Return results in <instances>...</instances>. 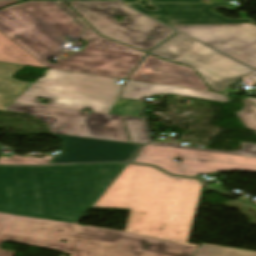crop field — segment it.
I'll return each instance as SVG.
<instances>
[{
  "label": "crop field",
  "mask_w": 256,
  "mask_h": 256,
  "mask_svg": "<svg viewBox=\"0 0 256 256\" xmlns=\"http://www.w3.org/2000/svg\"><path fill=\"white\" fill-rule=\"evenodd\" d=\"M155 94H174L227 102L222 94L127 80L121 96L140 99Z\"/></svg>",
  "instance_id": "crop-field-15"
},
{
  "label": "crop field",
  "mask_w": 256,
  "mask_h": 256,
  "mask_svg": "<svg viewBox=\"0 0 256 256\" xmlns=\"http://www.w3.org/2000/svg\"><path fill=\"white\" fill-rule=\"evenodd\" d=\"M101 35L148 52L175 31L118 2H67ZM126 14L122 22L113 16Z\"/></svg>",
  "instance_id": "crop-field-6"
},
{
  "label": "crop field",
  "mask_w": 256,
  "mask_h": 256,
  "mask_svg": "<svg viewBox=\"0 0 256 256\" xmlns=\"http://www.w3.org/2000/svg\"><path fill=\"white\" fill-rule=\"evenodd\" d=\"M63 141L60 155L50 164L128 161L140 145L53 134Z\"/></svg>",
  "instance_id": "crop-field-11"
},
{
  "label": "crop field",
  "mask_w": 256,
  "mask_h": 256,
  "mask_svg": "<svg viewBox=\"0 0 256 256\" xmlns=\"http://www.w3.org/2000/svg\"><path fill=\"white\" fill-rule=\"evenodd\" d=\"M151 145H159V146H167V147H175V148H184V149H192V150H201V151L256 157V144H250V143H242L241 149L236 152L195 148V147H185V146H180L178 144H172V143H162V144L152 143Z\"/></svg>",
  "instance_id": "crop-field-22"
},
{
  "label": "crop field",
  "mask_w": 256,
  "mask_h": 256,
  "mask_svg": "<svg viewBox=\"0 0 256 256\" xmlns=\"http://www.w3.org/2000/svg\"><path fill=\"white\" fill-rule=\"evenodd\" d=\"M194 256H256V252L201 243Z\"/></svg>",
  "instance_id": "crop-field-19"
},
{
  "label": "crop field",
  "mask_w": 256,
  "mask_h": 256,
  "mask_svg": "<svg viewBox=\"0 0 256 256\" xmlns=\"http://www.w3.org/2000/svg\"><path fill=\"white\" fill-rule=\"evenodd\" d=\"M51 158L50 156H46L43 159L20 156H12L11 158L0 157V164H46Z\"/></svg>",
  "instance_id": "crop-field-24"
},
{
  "label": "crop field",
  "mask_w": 256,
  "mask_h": 256,
  "mask_svg": "<svg viewBox=\"0 0 256 256\" xmlns=\"http://www.w3.org/2000/svg\"><path fill=\"white\" fill-rule=\"evenodd\" d=\"M6 111L29 113L45 121L51 133L129 142L122 117L118 115L95 112L84 115L77 110L16 103Z\"/></svg>",
  "instance_id": "crop-field-8"
},
{
  "label": "crop field",
  "mask_w": 256,
  "mask_h": 256,
  "mask_svg": "<svg viewBox=\"0 0 256 256\" xmlns=\"http://www.w3.org/2000/svg\"><path fill=\"white\" fill-rule=\"evenodd\" d=\"M151 54L195 67L213 91L217 92L223 91L236 80L254 72L182 34H177L153 50Z\"/></svg>",
  "instance_id": "crop-field-7"
},
{
  "label": "crop field",
  "mask_w": 256,
  "mask_h": 256,
  "mask_svg": "<svg viewBox=\"0 0 256 256\" xmlns=\"http://www.w3.org/2000/svg\"><path fill=\"white\" fill-rule=\"evenodd\" d=\"M123 2H141L140 0H122ZM201 0H148V2H176V3H196Z\"/></svg>",
  "instance_id": "crop-field-25"
},
{
  "label": "crop field",
  "mask_w": 256,
  "mask_h": 256,
  "mask_svg": "<svg viewBox=\"0 0 256 256\" xmlns=\"http://www.w3.org/2000/svg\"><path fill=\"white\" fill-rule=\"evenodd\" d=\"M0 61L46 68L1 32Z\"/></svg>",
  "instance_id": "crop-field-18"
},
{
  "label": "crop field",
  "mask_w": 256,
  "mask_h": 256,
  "mask_svg": "<svg viewBox=\"0 0 256 256\" xmlns=\"http://www.w3.org/2000/svg\"><path fill=\"white\" fill-rule=\"evenodd\" d=\"M182 158L181 163L173 162ZM134 162L156 165L172 174L199 177L200 173L242 170L256 172V158L146 145Z\"/></svg>",
  "instance_id": "crop-field-9"
},
{
  "label": "crop field",
  "mask_w": 256,
  "mask_h": 256,
  "mask_svg": "<svg viewBox=\"0 0 256 256\" xmlns=\"http://www.w3.org/2000/svg\"><path fill=\"white\" fill-rule=\"evenodd\" d=\"M20 1L0 0V8ZM0 31L48 68L66 35L77 37L81 27L54 1H31L1 9Z\"/></svg>",
  "instance_id": "crop-field-4"
},
{
  "label": "crop field",
  "mask_w": 256,
  "mask_h": 256,
  "mask_svg": "<svg viewBox=\"0 0 256 256\" xmlns=\"http://www.w3.org/2000/svg\"><path fill=\"white\" fill-rule=\"evenodd\" d=\"M59 4L67 11L69 12L78 22L83 24L85 26V31L81 36V39L85 40L87 43L85 45V48H91V49H98V50H105V51H112V52H119V53H126V54H133V55H140L144 56L145 53L107 40L105 38H102L98 36L90 27H88L72 10H70L63 2H59Z\"/></svg>",
  "instance_id": "crop-field-17"
},
{
  "label": "crop field",
  "mask_w": 256,
  "mask_h": 256,
  "mask_svg": "<svg viewBox=\"0 0 256 256\" xmlns=\"http://www.w3.org/2000/svg\"><path fill=\"white\" fill-rule=\"evenodd\" d=\"M126 127L133 143H146L149 142L148 133L142 118L123 116Z\"/></svg>",
  "instance_id": "crop-field-20"
},
{
  "label": "crop field",
  "mask_w": 256,
  "mask_h": 256,
  "mask_svg": "<svg viewBox=\"0 0 256 256\" xmlns=\"http://www.w3.org/2000/svg\"><path fill=\"white\" fill-rule=\"evenodd\" d=\"M173 28L256 69L254 25H182Z\"/></svg>",
  "instance_id": "crop-field-10"
},
{
  "label": "crop field",
  "mask_w": 256,
  "mask_h": 256,
  "mask_svg": "<svg viewBox=\"0 0 256 256\" xmlns=\"http://www.w3.org/2000/svg\"><path fill=\"white\" fill-rule=\"evenodd\" d=\"M244 103V111H241L237 114L244 122L245 127L256 131V106L246 100Z\"/></svg>",
  "instance_id": "crop-field-23"
},
{
  "label": "crop field",
  "mask_w": 256,
  "mask_h": 256,
  "mask_svg": "<svg viewBox=\"0 0 256 256\" xmlns=\"http://www.w3.org/2000/svg\"><path fill=\"white\" fill-rule=\"evenodd\" d=\"M198 180L128 164L93 207L131 209L125 231L187 243L201 192Z\"/></svg>",
  "instance_id": "crop-field-2"
},
{
  "label": "crop field",
  "mask_w": 256,
  "mask_h": 256,
  "mask_svg": "<svg viewBox=\"0 0 256 256\" xmlns=\"http://www.w3.org/2000/svg\"><path fill=\"white\" fill-rule=\"evenodd\" d=\"M143 102L117 99L109 113L140 117Z\"/></svg>",
  "instance_id": "crop-field-21"
},
{
  "label": "crop field",
  "mask_w": 256,
  "mask_h": 256,
  "mask_svg": "<svg viewBox=\"0 0 256 256\" xmlns=\"http://www.w3.org/2000/svg\"><path fill=\"white\" fill-rule=\"evenodd\" d=\"M23 67V65L0 62V111L11 105L31 85L10 78Z\"/></svg>",
  "instance_id": "crop-field-16"
},
{
  "label": "crop field",
  "mask_w": 256,
  "mask_h": 256,
  "mask_svg": "<svg viewBox=\"0 0 256 256\" xmlns=\"http://www.w3.org/2000/svg\"><path fill=\"white\" fill-rule=\"evenodd\" d=\"M248 78H250V79L256 81V74H254V75H252V76H250V77H248ZM246 99H248V100H250L251 102H253V103L256 104V98L248 97V98H246Z\"/></svg>",
  "instance_id": "crop-field-26"
},
{
  "label": "crop field",
  "mask_w": 256,
  "mask_h": 256,
  "mask_svg": "<svg viewBox=\"0 0 256 256\" xmlns=\"http://www.w3.org/2000/svg\"><path fill=\"white\" fill-rule=\"evenodd\" d=\"M118 80L48 69L14 102L108 113L122 86L115 84ZM38 97L50 104L40 103Z\"/></svg>",
  "instance_id": "crop-field-5"
},
{
  "label": "crop field",
  "mask_w": 256,
  "mask_h": 256,
  "mask_svg": "<svg viewBox=\"0 0 256 256\" xmlns=\"http://www.w3.org/2000/svg\"><path fill=\"white\" fill-rule=\"evenodd\" d=\"M6 240L72 256H193L198 249L127 232L0 213V245ZM14 254L0 249V256Z\"/></svg>",
  "instance_id": "crop-field-3"
},
{
  "label": "crop field",
  "mask_w": 256,
  "mask_h": 256,
  "mask_svg": "<svg viewBox=\"0 0 256 256\" xmlns=\"http://www.w3.org/2000/svg\"><path fill=\"white\" fill-rule=\"evenodd\" d=\"M49 68L125 79L141 57L79 49L70 50Z\"/></svg>",
  "instance_id": "crop-field-12"
},
{
  "label": "crop field",
  "mask_w": 256,
  "mask_h": 256,
  "mask_svg": "<svg viewBox=\"0 0 256 256\" xmlns=\"http://www.w3.org/2000/svg\"><path fill=\"white\" fill-rule=\"evenodd\" d=\"M128 79L210 91L192 68L164 62L150 55Z\"/></svg>",
  "instance_id": "crop-field-14"
},
{
  "label": "crop field",
  "mask_w": 256,
  "mask_h": 256,
  "mask_svg": "<svg viewBox=\"0 0 256 256\" xmlns=\"http://www.w3.org/2000/svg\"><path fill=\"white\" fill-rule=\"evenodd\" d=\"M166 25L255 23L253 19L230 20L209 9L229 8L226 2L204 4H149L156 8L147 11L140 4H127Z\"/></svg>",
  "instance_id": "crop-field-13"
},
{
  "label": "crop field",
  "mask_w": 256,
  "mask_h": 256,
  "mask_svg": "<svg viewBox=\"0 0 256 256\" xmlns=\"http://www.w3.org/2000/svg\"><path fill=\"white\" fill-rule=\"evenodd\" d=\"M126 165L0 167V212L78 224Z\"/></svg>",
  "instance_id": "crop-field-1"
}]
</instances>
